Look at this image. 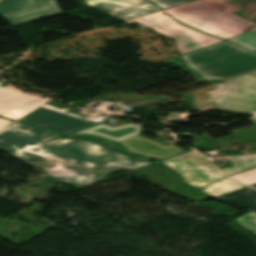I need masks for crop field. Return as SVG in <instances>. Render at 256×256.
Here are the masks:
<instances>
[{"label":"crop field","instance_id":"obj_40","mask_svg":"<svg viewBox=\"0 0 256 256\" xmlns=\"http://www.w3.org/2000/svg\"><path fill=\"white\" fill-rule=\"evenodd\" d=\"M252 120V122H254L255 124H256V118H254V119H251Z\"/></svg>","mask_w":256,"mask_h":256},{"label":"crop field","instance_id":"obj_20","mask_svg":"<svg viewBox=\"0 0 256 256\" xmlns=\"http://www.w3.org/2000/svg\"><path fill=\"white\" fill-rule=\"evenodd\" d=\"M254 194H256V190L247 187L221 197L233 199L244 203H249Z\"/></svg>","mask_w":256,"mask_h":256},{"label":"crop field","instance_id":"obj_27","mask_svg":"<svg viewBox=\"0 0 256 256\" xmlns=\"http://www.w3.org/2000/svg\"><path fill=\"white\" fill-rule=\"evenodd\" d=\"M159 163L164 164V165L170 167L171 169L175 170V171L179 174L180 178H181L183 181H185L187 184H189L190 186H192V187H194V188H196V189H198V190L204 188V187H201V186H198V185H195V184L190 183L189 180H188V178H187V176H186V174L180 172L179 170L175 169L174 167L168 165L167 163H165V162H163V161H161V162H159Z\"/></svg>","mask_w":256,"mask_h":256},{"label":"crop field","instance_id":"obj_41","mask_svg":"<svg viewBox=\"0 0 256 256\" xmlns=\"http://www.w3.org/2000/svg\"><path fill=\"white\" fill-rule=\"evenodd\" d=\"M251 181H253V182H255V183H256V179H254V180H251Z\"/></svg>","mask_w":256,"mask_h":256},{"label":"crop field","instance_id":"obj_19","mask_svg":"<svg viewBox=\"0 0 256 256\" xmlns=\"http://www.w3.org/2000/svg\"><path fill=\"white\" fill-rule=\"evenodd\" d=\"M228 41L244 46L250 50L256 51V30L238 36L236 38L229 39Z\"/></svg>","mask_w":256,"mask_h":256},{"label":"crop field","instance_id":"obj_21","mask_svg":"<svg viewBox=\"0 0 256 256\" xmlns=\"http://www.w3.org/2000/svg\"><path fill=\"white\" fill-rule=\"evenodd\" d=\"M235 220L243 227L256 234V212L251 211L248 214L239 217Z\"/></svg>","mask_w":256,"mask_h":256},{"label":"crop field","instance_id":"obj_39","mask_svg":"<svg viewBox=\"0 0 256 256\" xmlns=\"http://www.w3.org/2000/svg\"><path fill=\"white\" fill-rule=\"evenodd\" d=\"M0 121H4V122L11 123V121H10V120H5V119H1V118H0Z\"/></svg>","mask_w":256,"mask_h":256},{"label":"crop field","instance_id":"obj_35","mask_svg":"<svg viewBox=\"0 0 256 256\" xmlns=\"http://www.w3.org/2000/svg\"><path fill=\"white\" fill-rule=\"evenodd\" d=\"M108 151L115 152V151L110 150V149H108ZM116 153H118V152H116ZM119 154H120V153H119ZM120 155H121L123 158H126V159H130V160H134V161H138V162H142V163H146V164L151 163L150 161H142V160H137V159L129 158V157H127V156H125V155H122V154H120Z\"/></svg>","mask_w":256,"mask_h":256},{"label":"crop field","instance_id":"obj_34","mask_svg":"<svg viewBox=\"0 0 256 256\" xmlns=\"http://www.w3.org/2000/svg\"><path fill=\"white\" fill-rule=\"evenodd\" d=\"M57 141H61V142H66V141H77V142H80V143H82V144H84V147L86 148L89 144H90V142H87V141H83V140H64V139H59V140H57Z\"/></svg>","mask_w":256,"mask_h":256},{"label":"crop field","instance_id":"obj_28","mask_svg":"<svg viewBox=\"0 0 256 256\" xmlns=\"http://www.w3.org/2000/svg\"><path fill=\"white\" fill-rule=\"evenodd\" d=\"M217 199H219V200H221L223 202L236 203V204H239V205H242V206H246V207H249V208H252V209H256V195H254L251 203H249V204H244V203L232 201V200L221 198V197H217Z\"/></svg>","mask_w":256,"mask_h":256},{"label":"crop field","instance_id":"obj_37","mask_svg":"<svg viewBox=\"0 0 256 256\" xmlns=\"http://www.w3.org/2000/svg\"><path fill=\"white\" fill-rule=\"evenodd\" d=\"M201 191H204V192H206V193H208V194L212 195L213 197H217L216 195H213V194H211V193L207 192L205 188H204V189H202Z\"/></svg>","mask_w":256,"mask_h":256},{"label":"crop field","instance_id":"obj_31","mask_svg":"<svg viewBox=\"0 0 256 256\" xmlns=\"http://www.w3.org/2000/svg\"><path fill=\"white\" fill-rule=\"evenodd\" d=\"M87 148H88V149H91V150H93V151H95V152H98V151H100V150H105V149H107V148H105V147L99 146V145L94 144V143H91Z\"/></svg>","mask_w":256,"mask_h":256},{"label":"crop field","instance_id":"obj_18","mask_svg":"<svg viewBox=\"0 0 256 256\" xmlns=\"http://www.w3.org/2000/svg\"><path fill=\"white\" fill-rule=\"evenodd\" d=\"M244 187L246 186L238 184L228 178H224L207 187V190L211 193L221 196Z\"/></svg>","mask_w":256,"mask_h":256},{"label":"crop field","instance_id":"obj_3","mask_svg":"<svg viewBox=\"0 0 256 256\" xmlns=\"http://www.w3.org/2000/svg\"><path fill=\"white\" fill-rule=\"evenodd\" d=\"M10 156L19 158L33 166L43 168L47 172L45 176L50 180L57 182L65 181L77 188L100 182L114 170L129 169L116 164L95 166L75 163L68 159H58L45 153L43 145Z\"/></svg>","mask_w":256,"mask_h":256},{"label":"crop field","instance_id":"obj_9","mask_svg":"<svg viewBox=\"0 0 256 256\" xmlns=\"http://www.w3.org/2000/svg\"><path fill=\"white\" fill-rule=\"evenodd\" d=\"M205 160L203 155L192 150L164 161L186 173L192 183L206 187L225 176Z\"/></svg>","mask_w":256,"mask_h":256},{"label":"crop field","instance_id":"obj_26","mask_svg":"<svg viewBox=\"0 0 256 256\" xmlns=\"http://www.w3.org/2000/svg\"><path fill=\"white\" fill-rule=\"evenodd\" d=\"M102 1H107V2H111V3H116V4H120V5H124V6H127L137 0H85V2L91 6L95 3H98V2H102Z\"/></svg>","mask_w":256,"mask_h":256},{"label":"crop field","instance_id":"obj_38","mask_svg":"<svg viewBox=\"0 0 256 256\" xmlns=\"http://www.w3.org/2000/svg\"><path fill=\"white\" fill-rule=\"evenodd\" d=\"M195 194H198V195L204 196V197H206L207 199H209V197H207V196H205V195H203V194H201V193H199V192H196Z\"/></svg>","mask_w":256,"mask_h":256},{"label":"crop field","instance_id":"obj_24","mask_svg":"<svg viewBox=\"0 0 256 256\" xmlns=\"http://www.w3.org/2000/svg\"><path fill=\"white\" fill-rule=\"evenodd\" d=\"M230 177L248 185L254 184L249 180L256 178V168L243 173L232 175Z\"/></svg>","mask_w":256,"mask_h":256},{"label":"crop field","instance_id":"obj_29","mask_svg":"<svg viewBox=\"0 0 256 256\" xmlns=\"http://www.w3.org/2000/svg\"><path fill=\"white\" fill-rule=\"evenodd\" d=\"M3 110L1 109L0 107V115L2 116H7V117H10V118H18L20 116H22L24 114V111L22 110H19L17 108L13 109L12 111H10L9 113L5 114V113H1Z\"/></svg>","mask_w":256,"mask_h":256},{"label":"crop field","instance_id":"obj_22","mask_svg":"<svg viewBox=\"0 0 256 256\" xmlns=\"http://www.w3.org/2000/svg\"><path fill=\"white\" fill-rule=\"evenodd\" d=\"M14 125L17 129H19L27 134L39 135V134L47 133V134L51 135L50 140L58 138V136L56 134L49 132V131L41 130V129L34 128V127H29L27 125L17 123V122H15Z\"/></svg>","mask_w":256,"mask_h":256},{"label":"crop field","instance_id":"obj_30","mask_svg":"<svg viewBox=\"0 0 256 256\" xmlns=\"http://www.w3.org/2000/svg\"><path fill=\"white\" fill-rule=\"evenodd\" d=\"M18 121L23 122V123H27V124H32V125L40 126V125H38V124H36V123H33V122H31V121H28V120H26V119H24V118H22V119H20V120H18ZM40 127H43V126H40ZM43 128H45V127H43ZM46 129H48V128H46ZM49 130H53V131L59 133V135H61V137L65 136V134H64V133L62 132V130H60V129H49Z\"/></svg>","mask_w":256,"mask_h":256},{"label":"crop field","instance_id":"obj_10","mask_svg":"<svg viewBox=\"0 0 256 256\" xmlns=\"http://www.w3.org/2000/svg\"><path fill=\"white\" fill-rule=\"evenodd\" d=\"M49 138L50 136L47 134L39 136L26 135L17 130L12 124L8 128L0 131V150L10 155L43 144Z\"/></svg>","mask_w":256,"mask_h":256},{"label":"crop field","instance_id":"obj_5","mask_svg":"<svg viewBox=\"0 0 256 256\" xmlns=\"http://www.w3.org/2000/svg\"><path fill=\"white\" fill-rule=\"evenodd\" d=\"M215 109L256 115V71L231 79L209 96Z\"/></svg>","mask_w":256,"mask_h":256},{"label":"crop field","instance_id":"obj_6","mask_svg":"<svg viewBox=\"0 0 256 256\" xmlns=\"http://www.w3.org/2000/svg\"><path fill=\"white\" fill-rule=\"evenodd\" d=\"M44 151L59 158H69L75 162L89 163L95 165L120 164L133 169L145 166V164L123 159L119 154L100 151L95 153L83 148L77 142L59 143L52 141L44 144Z\"/></svg>","mask_w":256,"mask_h":256},{"label":"crop field","instance_id":"obj_15","mask_svg":"<svg viewBox=\"0 0 256 256\" xmlns=\"http://www.w3.org/2000/svg\"><path fill=\"white\" fill-rule=\"evenodd\" d=\"M226 81L219 84L183 95V99L189 104L190 107L210 109L217 102L209 99L208 96L217 90Z\"/></svg>","mask_w":256,"mask_h":256},{"label":"crop field","instance_id":"obj_12","mask_svg":"<svg viewBox=\"0 0 256 256\" xmlns=\"http://www.w3.org/2000/svg\"><path fill=\"white\" fill-rule=\"evenodd\" d=\"M47 100L49 99L25 95L10 86L6 88L0 87V106L3 108V112L5 113L15 107L28 113Z\"/></svg>","mask_w":256,"mask_h":256},{"label":"crop field","instance_id":"obj_17","mask_svg":"<svg viewBox=\"0 0 256 256\" xmlns=\"http://www.w3.org/2000/svg\"><path fill=\"white\" fill-rule=\"evenodd\" d=\"M231 166L230 168L220 169L227 176L235 173L243 172L256 167V156H242L228 159Z\"/></svg>","mask_w":256,"mask_h":256},{"label":"crop field","instance_id":"obj_13","mask_svg":"<svg viewBox=\"0 0 256 256\" xmlns=\"http://www.w3.org/2000/svg\"><path fill=\"white\" fill-rule=\"evenodd\" d=\"M133 171L146 176L151 182L165 188L169 192L179 195L192 193L168 173L151 165H147Z\"/></svg>","mask_w":256,"mask_h":256},{"label":"crop field","instance_id":"obj_36","mask_svg":"<svg viewBox=\"0 0 256 256\" xmlns=\"http://www.w3.org/2000/svg\"><path fill=\"white\" fill-rule=\"evenodd\" d=\"M6 125H8V123L0 122V128L4 127Z\"/></svg>","mask_w":256,"mask_h":256},{"label":"crop field","instance_id":"obj_25","mask_svg":"<svg viewBox=\"0 0 256 256\" xmlns=\"http://www.w3.org/2000/svg\"><path fill=\"white\" fill-rule=\"evenodd\" d=\"M92 7L96 8L104 13L109 14L112 11L123 8L124 6L115 5V4H111V3H107V2H102V3L95 4Z\"/></svg>","mask_w":256,"mask_h":256},{"label":"crop field","instance_id":"obj_33","mask_svg":"<svg viewBox=\"0 0 256 256\" xmlns=\"http://www.w3.org/2000/svg\"><path fill=\"white\" fill-rule=\"evenodd\" d=\"M153 166H156V167H158V168H161V169H163V170H165L166 172H168L171 176H173L176 180H178L174 175H173V173L171 172V171H169V170H167V169H165V168H163V167H161V166H158V165H156V164H152ZM179 181V180H178ZM180 182V181H179ZM181 183V182H180ZM185 186V185H184ZM185 187H187V186H185ZM190 191H192L193 193L194 192H196L195 190H193V189H191V188H189V187H187Z\"/></svg>","mask_w":256,"mask_h":256},{"label":"crop field","instance_id":"obj_4","mask_svg":"<svg viewBox=\"0 0 256 256\" xmlns=\"http://www.w3.org/2000/svg\"><path fill=\"white\" fill-rule=\"evenodd\" d=\"M132 20L175 39L181 55L223 41L183 26L162 11Z\"/></svg>","mask_w":256,"mask_h":256},{"label":"crop field","instance_id":"obj_42","mask_svg":"<svg viewBox=\"0 0 256 256\" xmlns=\"http://www.w3.org/2000/svg\"><path fill=\"white\" fill-rule=\"evenodd\" d=\"M251 186H254V187H256V184H255V185H251Z\"/></svg>","mask_w":256,"mask_h":256},{"label":"crop field","instance_id":"obj_23","mask_svg":"<svg viewBox=\"0 0 256 256\" xmlns=\"http://www.w3.org/2000/svg\"><path fill=\"white\" fill-rule=\"evenodd\" d=\"M162 10L188 3L194 0H150Z\"/></svg>","mask_w":256,"mask_h":256},{"label":"crop field","instance_id":"obj_2","mask_svg":"<svg viewBox=\"0 0 256 256\" xmlns=\"http://www.w3.org/2000/svg\"><path fill=\"white\" fill-rule=\"evenodd\" d=\"M185 63L206 80L222 81L256 70V53L223 41L183 55Z\"/></svg>","mask_w":256,"mask_h":256},{"label":"crop field","instance_id":"obj_8","mask_svg":"<svg viewBox=\"0 0 256 256\" xmlns=\"http://www.w3.org/2000/svg\"><path fill=\"white\" fill-rule=\"evenodd\" d=\"M77 108L66 105L60 109L43 105L39 109L26 115L24 118L49 128H61L64 133L70 134L99 123L88 122L73 114Z\"/></svg>","mask_w":256,"mask_h":256},{"label":"crop field","instance_id":"obj_1","mask_svg":"<svg viewBox=\"0 0 256 256\" xmlns=\"http://www.w3.org/2000/svg\"><path fill=\"white\" fill-rule=\"evenodd\" d=\"M239 10L225 0H200L163 12L185 25L228 39L256 29V24L233 15Z\"/></svg>","mask_w":256,"mask_h":256},{"label":"crop field","instance_id":"obj_16","mask_svg":"<svg viewBox=\"0 0 256 256\" xmlns=\"http://www.w3.org/2000/svg\"><path fill=\"white\" fill-rule=\"evenodd\" d=\"M157 11H160V10L156 8L154 5H152L151 3H149L148 1H141L124 10L114 13V15L120 18L129 20L132 18L147 15Z\"/></svg>","mask_w":256,"mask_h":256},{"label":"crop field","instance_id":"obj_32","mask_svg":"<svg viewBox=\"0 0 256 256\" xmlns=\"http://www.w3.org/2000/svg\"><path fill=\"white\" fill-rule=\"evenodd\" d=\"M185 197H187L189 199H192L196 202L206 200L204 197H201V196H198V195H195V194L186 195Z\"/></svg>","mask_w":256,"mask_h":256},{"label":"crop field","instance_id":"obj_7","mask_svg":"<svg viewBox=\"0 0 256 256\" xmlns=\"http://www.w3.org/2000/svg\"><path fill=\"white\" fill-rule=\"evenodd\" d=\"M61 13L54 0H0V14L10 25Z\"/></svg>","mask_w":256,"mask_h":256},{"label":"crop field","instance_id":"obj_11","mask_svg":"<svg viewBox=\"0 0 256 256\" xmlns=\"http://www.w3.org/2000/svg\"><path fill=\"white\" fill-rule=\"evenodd\" d=\"M120 143L129 147L128 149L131 152L155 158H166L184 151L170 144H159L153 140L147 139L144 135H137Z\"/></svg>","mask_w":256,"mask_h":256},{"label":"crop field","instance_id":"obj_14","mask_svg":"<svg viewBox=\"0 0 256 256\" xmlns=\"http://www.w3.org/2000/svg\"><path fill=\"white\" fill-rule=\"evenodd\" d=\"M141 132H142V125L124 124L119 127L111 128L101 123L97 126L80 131L74 135L81 134V133L96 134L101 137L119 142L127 138H130L132 136H135L137 134H140Z\"/></svg>","mask_w":256,"mask_h":256}]
</instances>
